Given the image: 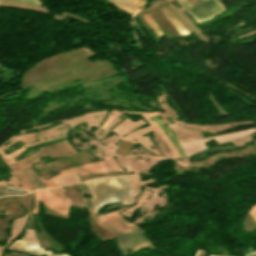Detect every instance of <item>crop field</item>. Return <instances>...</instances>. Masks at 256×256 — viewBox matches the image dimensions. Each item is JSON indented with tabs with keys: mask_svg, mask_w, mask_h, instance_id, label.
<instances>
[{
	"mask_svg": "<svg viewBox=\"0 0 256 256\" xmlns=\"http://www.w3.org/2000/svg\"><path fill=\"white\" fill-rule=\"evenodd\" d=\"M51 190V192L53 193V194H55L56 196H58V197H60V198H62V199H64V200H66V201H70V199L69 198H67V197H65L64 195H62L61 193L64 191V189H63V187H58V188H55V189H50Z\"/></svg>",
	"mask_w": 256,
	"mask_h": 256,
	"instance_id": "14",
	"label": "crop field"
},
{
	"mask_svg": "<svg viewBox=\"0 0 256 256\" xmlns=\"http://www.w3.org/2000/svg\"><path fill=\"white\" fill-rule=\"evenodd\" d=\"M35 196H36V202H35V207L32 213L37 214L38 200L45 203L47 206L53 209L66 213L68 203L58 200L59 198L56 199L57 197L55 198L47 191H44V190L35 191Z\"/></svg>",
	"mask_w": 256,
	"mask_h": 256,
	"instance_id": "7",
	"label": "crop field"
},
{
	"mask_svg": "<svg viewBox=\"0 0 256 256\" xmlns=\"http://www.w3.org/2000/svg\"><path fill=\"white\" fill-rule=\"evenodd\" d=\"M251 215L254 217V219L256 220V205H254L250 211Z\"/></svg>",
	"mask_w": 256,
	"mask_h": 256,
	"instance_id": "15",
	"label": "crop field"
},
{
	"mask_svg": "<svg viewBox=\"0 0 256 256\" xmlns=\"http://www.w3.org/2000/svg\"><path fill=\"white\" fill-rule=\"evenodd\" d=\"M59 172L61 174L56 175V176L52 177L51 179H49L47 181H45L41 178L40 179L48 186V188H54V187L60 186L54 180L59 179L61 177H64V176H67V175H70V174H74V173H77V172H79L80 176H83V175H88V174H93V173L106 172V170H105L102 162L98 161V162H94V163H89V164L69 168V169H66V170L59 171Z\"/></svg>",
	"mask_w": 256,
	"mask_h": 256,
	"instance_id": "5",
	"label": "crop field"
},
{
	"mask_svg": "<svg viewBox=\"0 0 256 256\" xmlns=\"http://www.w3.org/2000/svg\"><path fill=\"white\" fill-rule=\"evenodd\" d=\"M8 248L31 253V254H37V255L47 254V256H67V255H52L51 251H43L42 248L39 249L37 243L21 241V240L15 241Z\"/></svg>",
	"mask_w": 256,
	"mask_h": 256,
	"instance_id": "8",
	"label": "crop field"
},
{
	"mask_svg": "<svg viewBox=\"0 0 256 256\" xmlns=\"http://www.w3.org/2000/svg\"><path fill=\"white\" fill-rule=\"evenodd\" d=\"M253 132H256L255 128L245 130V131L230 133V134H226V135H222V136H218V137L206 138V139H201V140L192 141V142H183V143H179V144H180L181 148L183 149L185 155L187 156V155L193 154L195 152H198V151L206 148L203 143L205 141L215 139L218 143H223L227 140L242 137V136L248 135Z\"/></svg>",
	"mask_w": 256,
	"mask_h": 256,
	"instance_id": "6",
	"label": "crop field"
},
{
	"mask_svg": "<svg viewBox=\"0 0 256 256\" xmlns=\"http://www.w3.org/2000/svg\"><path fill=\"white\" fill-rule=\"evenodd\" d=\"M21 1H26V2H30V3L41 5L38 0H21Z\"/></svg>",
	"mask_w": 256,
	"mask_h": 256,
	"instance_id": "16",
	"label": "crop field"
},
{
	"mask_svg": "<svg viewBox=\"0 0 256 256\" xmlns=\"http://www.w3.org/2000/svg\"><path fill=\"white\" fill-rule=\"evenodd\" d=\"M244 256H256V252L245 254Z\"/></svg>",
	"mask_w": 256,
	"mask_h": 256,
	"instance_id": "18",
	"label": "crop field"
},
{
	"mask_svg": "<svg viewBox=\"0 0 256 256\" xmlns=\"http://www.w3.org/2000/svg\"><path fill=\"white\" fill-rule=\"evenodd\" d=\"M143 18L145 19V21L148 23V25L154 30L157 38L162 37V32L159 30V28L155 25V23L152 21V19L149 17L148 14L143 15Z\"/></svg>",
	"mask_w": 256,
	"mask_h": 256,
	"instance_id": "12",
	"label": "crop field"
},
{
	"mask_svg": "<svg viewBox=\"0 0 256 256\" xmlns=\"http://www.w3.org/2000/svg\"><path fill=\"white\" fill-rule=\"evenodd\" d=\"M8 187H10V186H8ZM0 189H2V188H0ZM24 193H27V191L20 190V189L14 188V187L0 190V196H4V195H8V194H24Z\"/></svg>",
	"mask_w": 256,
	"mask_h": 256,
	"instance_id": "13",
	"label": "crop field"
},
{
	"mask_svg": "<svg viewBox=\"0 0 256 256\" xmlns=\"http://www.w3.org/2000/svg\"><path fill=\"white\" fill-rule=\"evenodd\" d=\"M41 151L37 152V154L32 155L30 157H27L17 163L9 165V167L12 169V173L14 175L15 180L18 182V184L22 185L23 187L27 188L28 190L32 191L35 190L33 186L30 184V182L26 179V177L21 173L19 169L24 168L26 166H29L35 162L38 161L39 157L48 155L53 158L69 155V154H63L65 152H69L74 150L71 146L68 145L67 141L53 144L47 147H43L40 149ZM76 151L70 153L73 154Z\"/></svg>",
	"mask_w": 256,
	"mask_h": 256,
	"instance_id": "3",
	"label": "crop field"
},
{
	"mask_svg": "<svg viewBox=\"0 0 256 256\" xmlns=\"http://www.w3.org/2000/svg\"><path fill=\"white\" fill-rule=\"evenodd\" d=\"M196 256H205V252L198 250Z\"/></svg>",
	"mask_w": 256,
	"mask_h": 256,
	"instance_id": "17",
	"label": "crop field"
},
{
	"mask_svg": "<svg viewBox=\"0 0 256 256\" xmlns=\"http://www.w3.org/2000/svg\"><path fill=\"white\" fill-rule=\"evenodd\" d=\"M155 123L163 130V132L167 135V137L170 139L171 143L173 144V146L175 147L176 151L178 152L180 157H183L184 154L179 146V144L177 143V141L175 140V138L170 134L169 130L163 125V123L158 119L157 116H150Z\"/></svg>",
	"mask_w": 256,
	"mask_h": 256,
	"instance_id": "11",
	"label": "crop field"
},
{
	"mask_svg": "<svg viewBox=\"0 0 256 256\" xmlns=\"http://www.w3.org/2000/svg\"><path fill=\"white\" fill-rule=\"evenodd\" d=\"M197 23L207 21L226 10L218 0H205L191 5L187 0H177Z\"/></svg>",
	"mask_w": 256,
	"mask_h": 256,
	"instance_id": "4",
	"label": "crop field"
},
{
	"mask_svg": "<svg viewBox=\"0 0 256 256\" xmlns=\"http://www.w3.org/2000/svg\"><path fill=\"white\" fill-rule=\"evenodd\" d=\"M123 209L102 216L95 214L97 220L116 235L122 256L127 255V248L131 252L146 246L153 249V246L139 227L127 223L117 214Z\"/></svg>",
	"mask_w": 256,
	"mask_h": 256,
	"instance_id": "1",
	"label": "crop field"
},
{
	"mask_svg": "<svg viewBox=\"0 0 256 256\" xmlns=\"http://www.w3.org/2000/svg\"><path fill=\"white\" fill-rule=\"evenodd\" d=\"M110 1L113 3V5L124 9L129 14H131L134 10L138 9L141 5L147 2V0H110Z\"/></svg>",
	"mask_w": 256,
	"mask_h": 256,
	"instance_id": "9",
	"label": "crop field"
},
{
	"mask_svg": "<svg viewBox=\"0 0 256 256\" xmlns=\"http://www.w3.org/2000/svg\"><path fill=\"white\" fill-rule=\"evenodd\" d=\"M92 196V210L107 202L132 204L130 176H116L87 182Z\"/></svg>",
	"mask_w": 256,
	"mask_h": 256,
	"instance_id": "2",
	"label": "crop field"
},
{
	"mask_svg": "<svg viewBox=\"0 0 256 256\" xmlns=\"http://www.w3.org/2000/svg\"><path fill=\"white\" fill-rule=\"evenodd\" d=\"M161 12L166 16L170 23L175 27V29L180 33L181 36L188 35L189 33L186 29L177 21V19L168 11V9L163 6L159 8Z\"/></svg>",
	"mask_w": 256,
	"mask_h": 256,
	"instance_id": "10",
	"label": "crop field"
}]
</instances>
